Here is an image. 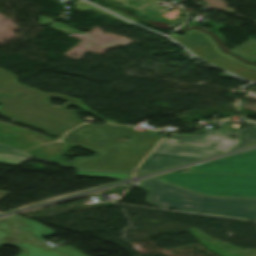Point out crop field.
<instances>
[{
	"label": "crop field",
	"instance_id": "obj_1",
	"mask_svg": "<svg viewBox=\"0 0 256 256\" xmlns=\"http://www.w3.org/2000/svg\"><path fill=\"white\" fill-rule=\"evenodd\" d=\"M154 132L153 135L150 133ZM81 140H67L93 153L91 158H74L70 168L132 173L162 137L156 131L140 132L130 127L85 124L74 129ZM114 136H117L116 138ZM128 137L131 141H124ZM80 147V148H81Z\"/></svg>",
	"mask_w": 256,
	"mask_h": 256
},
{
	"label": "crop field",
	"instance_id": "obj_2",
	"mask_svg": "<svg viewBox=\"0 0 256 256\" xmlns=\"http://www.w3.org/2000/svg\"><path fill=\"white\" fill-rule=\"evenodd\" d=\"M138 188L149 194L146 201L154 207L256 219V199L208 197L155 178L141 182Z\"/></svg>",
	"mask_w": 256,
	"mask_h": 256
},
{
	"label": "crop field",
	"instance_id": "obj_3",
	"mask_svg": "<svg viewBox=\"0 0 256 256\" xmlns=\"http://www.w3.org/2000/svg\"><path fill=\"white\" fill-rule=\"evenodd\" d=\"M0 114L16 122L38 128L50 136L62 134L83 123L76 118V112L53 107L50 104L31 99L17 93L13 97L0 92Z\"/></svg>",
	"mask_w": 256,
	"mask_h": 256
},
{
	"label": "crop field",
	"instance_id": "obj_4",
	"mask_svg": "<svg viewBox=\"0 0 256 256\" xmlns=\"http://www.w3.org/2000/svg\"><path fill=\"white\" fill-rule=\"evenodd\" d=\"M156 178L206 195L256 198V176L170 173Z\"/></svg>",
	"mask_w": 256,
	"mask_h": 256
},
{
	"label": "crop field",
	"instance_id": "obj_5",
	"mask_svg": "<svg viewBox=\"0 0 256 256\" xmlns=\"http://www.w3.org/2000/svg\"><path fill=\"white\" fill-rule=\"evenodd\" d=\"M172 39L187 47L195 55L218 65L240 77L256 81V66L246 65L230 55H224L219 52L217 46L205 34L199 31H190L184 36L170 35Z\"/></svg>",
	"mask_w": 256,
	"mask_h": 256
},
{
	"label": "crop field",
	"instance_id": "obj_6",
	"mask_svg": "<svg viewBox=\"0 0 256 256\" xmlns=\"http://www.w3.org/2000/svg\"><path fill=\"white\" fill-rule=\"evenodd\" d=\"M0 91L9 95H14L17 92L21 94L28 95L32 98H36L38 100L44 101V102H49V99L51 97L59 98L61 100L67 101L63 106L64 108H69V106H77L79 107L82 111L91 113L95 117H97L100 120H103L105 122L113 123L116 124L118 122L116 121H108L105 118L101 116H97L95 111L89 110L86 105L81 103L79 99L68 97L59 93H45L38 91L36 89L30 88L28 86H25L23 84H20L17 82V77L13 75L11 72L7 70L0 69Z\"/></svg>",
	"mask_w": 256,
	"mask_h": 256
},
{
	"label": "crop field",
	"instance_id": "obj_7",
	"mask_svg": "<svg viewBox=\"0 0 256 256\" xmlns=\"http://www.w3.org/2000/svg\"><path fill=\"white\" fill-rule=\"evenodd\" d=\"M193 173L256 175V151L211 161L191 169Z\"/></svg>",
	"mask_w": 256,
	"mask_h": 256
},
{
	"label": "crop field",
	"instance_id": "obj_8",
	"mask_svg": "<svg viewBox=\"0 0 256 256\" xmlns=\"http://www.w3.org/2000/svg\"><path fill=\"white\" fill-rule=\"evenodd\" d=\"M11 245L22 250L19 256H63L53 249L14 229L7 221H0V247Z\"/></svg>",
	"mask_w": 256,
	"mask_h": 256
},
{
	"label": "crop field",
	"instance_id": "obj_9",
	"mask_svg": "<svg viewBox=\"0 0 256 256\" xmlns=\"http://www.w3.org/2000/svg\"><path fill=\"white\" fill-rule=\"evenodd\" d=\"M229 135L237 136L238 140H232ZM239 142V134L216 130L202 129L194 135H187L179 143L199 148L227 152Z\"/></svg>",
	"mask_w": 256,
	"mask_h": 256
},
{
	"label": "crop field",
	"instance_id": "obj_10",
	"mask_svg": "<svg viewBox=\"0 0 256 256\" xmlns=\"http://www.w3.org/2000/svg\"><path fill=\"white\" fill-rule=\"evenodd\" d=\"M9 219L13 221L16 228L24 231L25 233L31 235L32 237H34L42 242L44 241V239L40 236L41 234L47 235V236L56 234L55 232L47 229L45 226L41 225L40 223L30 220V219H27V218H24V217H21V216H18V215H15ZM54 249H56L57 251L61 252L62 254L66 255V256H84L78 250H76L75 248H73L71 246L56 247Z\"/></svg>",
	"mask_w": 256,
	"mask_h": 256
},
{
	"label": "crop field",
	"instance_id": "obj_11",
	"mask_svg": "<svg viewBox=\"0 0 256 256\" xmlns=\"http://www.w3.org/2000/svg\"><path fill=\"white\" fill-rule=\"evenodd\" d=\"M184 136L186 135H173V138L171 140L163 139L153 152L194 157L200 159L222 153L177 144L178 141Z\"/></svg>",
	"mask_w": 256,
	"mask_h": 256
},
{
	"label": "crop field",
	"instance_id": "obj_12",
	"mask_svg": "<svg viewBox=\"0 0 256 256\" xmlns=\"http://www.w3.org/2000/svg\"><path fill=\"white\" fill-rule=\"evenodd\" d=\"M199 159L173 156V155H165V154H156L151 153L144 162L138 167L137 170L152 172L192 161H196ZM162 163L161 165H158Z\"/></svg>",
	"mask_w": 256,
	"mask_h": 256
},
{
	"label": "crop field",
	"instance_id": "obj_13",
	"mask_svg": "<svg viewBox=\"0 0 256 256\" xmlns=\"http://www.w3.org/2000/svg\"><path fill=\"white\" fill-rule=\"evenodd\" d=\"M256 144V122L247 121L244 131H240V142L230 151Z\"/></svg>",
	"mask_w": 256,
	"mask_h": 256
},
{
	"label": "crop field",
	"instance_id": "obj_14",
	"mask_svg": "<svg viewBox=\"0 0 256 256\" xmlns=\"http://www.w3.org/2000/svg\"><path fill=\"white\" fill-rule=\"evenodd\" d=\"M75 175L76 176H87V177L123 180V179H127L130 174H115V173L81 172V171H77Z\"/></svg>",
	"mask_w": 256,
	"mask_h": 256
},
{
	"label": "crop field",
	"instance_id": "obj_15",
	"mask_svg": "<svg viewBox=\"0 0 256 256\" xmlns=\"http://www.w3.org/2000/svg\"><path fill=\"white\" fill-rule=\"evenodd\" d=\"M137 11L146 15V16H148V17L155 18V17H157V16H159V15H161V14H163V13L169 11V10H167V9L163 8L161 5L153 2V3L141 8Z\"/></svg>",
	"mask_w": 256,
	"mask_h": 256
},
{
	"label": "crop field",
	"instance_id": "obj_16",
	"mask_svg": "<svg viewBox=\"0 0 256 256\" xmlns=\"http://www.w3.org/2000/svg\"><path fill=\"white\" fill-rule=\"evenodd\" d=\"M29 159L28 157L7 155L0 153V163L19 166L21 162Z\"/></svg>",
	"mask_w": 256,
	"mask_h": 256
},
{
	"label": "crop field",
	"instance_id": "obj_17",
	"mask_svg": "<svg viewBox=\"0 0 256 256\" xmlns=\"http://www.w3.org/2000/svg\"><path fill=\"white\" fill-rule=\"evenodd\" d=\"M73 6H77L76 10H78V11H92V12L100 13V14H103V15L108 14L107 12H105V11H103V10L93 6V5H90L88 3H84L82 0L77 1L75 4H73Z\"/></svg>",
	"mask_w": 256,
	"mask_h": 256
},
{
	"label": "crop field",
	"instance_id": "obj_18",
	"mask_svg": "<svg viewBox=\"0 0 256 256\" xmlns=\"http://www.w3.org/2000/svg\"><path fill=\"white\" fill-rule=\"evenodd\" d=\"M152 1L154 0H117L116 2L136 10Z\"/></svg>",
	"mask_w": 256,
	"mask_h": 256
},
{
	"label": "crop field",
	"instance_id": "obj_19",
	"mask_svg": "<svg viewBox=\"0 0 256 256\" xmlns=\"http://www.w3.org/2000/svg\"><path fill=\"white\" fill-rule=\"evenodd\" d=\"M49 26L54 28V29H56V30H58V31H61V32L65 33V34H70V33L83 34V32H80V31H78L76 29L70 28V27H68V26H66L64 24H61V23H54V22H52Z\"/></svg>",
	"mask_w": 256,
	"mask_h": 256
},
{
	"label": "crop field",
	"instance_id": "obj_20",
	"mask_svg": "<svg viewBox=\"0 0 256 256\" xmlns=\"http://www.w3.org/2000/svg\"><path fill=\"white\" fill-rule=\"evenodd\" d=\"M0 152H4V153H14V154H21V155H25V156H28L27 153H23L11 146H8V145H1L0 144Z\"/></svg>",
	"mask_w": 256,
	"mask_h": 256
},
{
	"label": "crop field",
	"instance_id": "obj_21",
	"mask_svg": "<svg viewBox=\"0 0 256 256\" xmlns=\"http://www.w3.org/2000/svg\"><path fill=\"white\" fill-rule=\"evenodd\" d=\"M38 18H40V20L38 21L39 24L45 26L46 24H48L50 21H52V19L47 18V17H43V16H38Z\"/></svg>",
	"mask_w": 256,
	"mask_h": 256
},
{
	"label": "crop field",
	"instance_id": "obj_22",
	"mask_svg": "<svg viewBox=\"0 0 256 256\" xmlns=\"http://www.w3.org/2000/svg\"><path fill=\"white\" fill-rule=\"evenodd\" d=\"M64 138V137H63ZM64 139H80L77 135L73 133V131L69 132Z\"/></svg>",
	"mask_w": 256,
	"mask_h": 256
},
{
	"label": "crop field",
	"instance_id": "obj_23",
	"mask_svg": "<svg viewBox=\"0 0 256 256\" xmlns=\"http://www.w3.org/2000/svg\"><path fill=\"white\" fill-rule=\"evenodd\" d=\"M108 18H110V19H115V20H119V21H121V22H123V23H125V24H127V25H130V23H128V22H126V21H124V20H122V19H119V18L115 17V16L112 15V14L109 15Z\"/></svg>",
	"mask_w": 256,
	"mask_h": 256
},
{
	"label": "crop field",
	"instance_id": "obj_24",
	"mask_svg": "<svg viewBox=\"0 0 256 256\" xmlns=\"http://www.w3.org/2000/svg\"><path fill=\"white\" fill-rule=\"evenodd\" d=\"M116 13H118V14H120V15H122V16H124V17H126V18H128L129 20H131V21H134V22H137L136 20H134L133 18H131V17H129V16H127V15H125V14H123L122 12H120V11H116Z\"/></svg>",
	"mask_w": 256,
	"mask_h": 256
},
{
	"label": "crop field",
	"instance_id": "obj_25",
	"mask_svg": "<svg viewBox=\"0 0 256 256\" xmlns=\"http://www.w3.org/2000/svg\"><path fill=\"white\" fill-rule=\"evenodd\" d=\"M7 195H9V193L0 191V201L4 199Z\"/></svg>",
	"mask_w": 256,
	"mask_h": 256
}]
</instances>
